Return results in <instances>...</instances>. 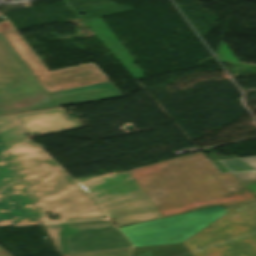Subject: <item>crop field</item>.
<instances>
[{"mask_svg": "<svg viewBox=\"0 0 256 256\" xmlns=\"http://www.w3.org/2000/svg\"><path fill=\"white\" fill-rule=\"evenodd\" d=\"M0 33L47 92L107 81L94 64L48 72L9 20L0 22Z\"/></svg>", "mask_w": 256, "mask_h": 256, "instance_id": "crop-field-7", "label": "crop field"}, {"mask_svg": "<svg viewBox=\"0 0 256 256\" xmlns=\"http://www.w3.org/2000/svg\"><path fill=\"white\" fill-rule=\"evenodd\" d=\"M127 173L162 217L256 199L231 172L220 174L201 152Z\"/></svg>", "mask_w": 256, "mask_h": 256, "instance_id": "crop-field-1", "label": "crop field"}, {"mask_svg": "<svg viewBox=\"0 0 256 256\" xmlns=\"http://www.w3.org/2000/svg\"><path fill=\"white\" fill-rule=\"evenodd\" d=\"M132 249L113 250L104 252H94L85 254H75L71 256H131Z\"/></svg>", "mask_w": 256, "mask_h": 256, "instance_id": "crop-field-15", "label": "crop field"}, {"mask_svg": "<svg viewBox=\"0 0 256 256\" xmlns=\"http://www.w3.org/2000/svg\"><path fill=\"white\" fill-rule=\"evenodd\" d=\"M42 223L106 217L94 197L84 192L36 144H5ZM46 214L59 220L51 221Z\"/></svg>", "mask_w": 256, "mask_h": 256, "instance_id": "crop-field-2", "label": "crop field"}, {"mask_svg": "<svg viewBox=\"0 0 256 256\" xmlns=\"http://www.w3.org/2000/svg\"><path fill=\"white\" fill-rule=\"evenodd\" d=\"M252 170L232 172L256 197V157L240 159Z\"/></svg>", "mask_w": 256, "mask_h": 256, "instance_id": "crop-field-14", "label": "crop field"}, {"mask_svg": "<svg viewBox=\"0 0 256 256\" xmlns=\"http://www.w3.org/2000/svg\"><path fill=\"white\" fill-rule=\"evenodd\" d=\"M44 227L61 255L131 248L110 221L92 220Z\"/></svg>", "mask_w": 256, "mask_h": 256, "instance_id": "crop-field-5", "label": "crop field"}, {"mask_svg": "<svg viewBox=\"0 0 256 256\" xmlns=\"http://www.w3.org/2000/svg\"><path fill=\"white\" fill-rule=\"evenodd\" d=\"M227 214L183 242L192 256H256V202L226 208Z\"/></svg>", "mask_w": 256, "mask_h": 256, "instance_id": "crop-field-4", "label": "crop field"}, {"mask_svg": "<svg viewBox=\"0 0 256 256\" xmlns=\"http://www.w3.org/2000/svg\"><path fill=\"white\" fill-rule=\"evenodd\" d=\"M26 134L39 136L82 127L78 118L70 119L60 108L17 115Z\"/></svg>", "mask_w": 256, "mask_h": 256, "instance_id": "crop-field-10", "label": "crop field"}, {"mask_svg": "<svg viewBox=\"0 0 256 256\" xmlns=\"http://www.w3.org/2000/svg\"><path fill=\"white\" fill-rule=\"evenodd\" d=\"M225 213L219 206L118 229L134 247L183 242Z\"/></svg>", "mask_w": 256, "mask_h": 256, "instance_id": "crop-field-6", "label": "crop field"}, {"mask_svg": "<svg viewBox=\"0 0 256 256\" xmlns=\"http://www.w3.org/2000/svg\"><path fill=\"white\" fill-rule=\"evenodd\" d=\"M76 181L93 195L138 189L126 172L82 178Z\"/></svg>", "mask_w": 256, "mask_h": 256, "instance_id": "crop-field-11", "label": "crop field"}, {"mask_svg": "<svg viewBox=\"0 0 256 256\" xmlns=\"http://www.w3.org/2000/svg\"><path fill=\"white\" fill-rule=\"evenodd\" d=\"M0 256H11L8 252L0 248Z\"/></svg>", "mask_w": 256, "mask_h": 256, "instance_id": "crop-field-16", "label": "crop field"}, {"mask_svg": "<svg viewBox=\"0 0 256 256\" xmlns=\"http://www.w3.org/2000/svg\"><path fill=\"white\" fill-rule=\"evenodd\" d=\"M41 223L0 139V224Z\"/></svg>", "mask_w": 256, "mask_h": 256, "instance_id": "crop-field-8", "label": "crop field"}, {"mask_svg": "<svg viewBox=\"0 0 256 256\" xmlns=\"http://www.w3.org/2000/svg\"><path fill=\"white\" fill-rule=\"evenodd\" d=\"M0 137L3 143L26 139L14 114L0 116Z\"/></svg>", "mask_w": 256, "mask_h": 256, "instance_id": "crop-field-12", "label": "crop field"}, {"mask_svg": "<svg viewBox=\"0 0 256 256\" xmlns=\"http://www.w3.org/2000/svg\"><path fill=\"white\" fill-rule=\"evenodd\" d=\"M245 242H247V243H249V244H251V245H254L252 242H250L249 240H246ZM254 246H256V245H254Z\"/></svg>", "mask_w": 256, "mask_h": 256, "instance_id": "crop-field-17", "label": "crop field"}, {"mask_svg": "<svg viewBox=\"0 0 256 256\" xmlns=\"http://www.w3.org/2000/svg\"><path fill=\"white\" fill-rule=\"evenodd\" d=\"M120 97L110 81L47 93L0 35V115Z\"/></svg>", "mask_w": 256, "mask_h": 256, "instance_id": "crop-field-3", "label": "crop field"}, {"mask_svg": "<svg viewBox=\"0 0 256 256\" xmlns=\"http://www.w3.org/2000/svg\"><path fill=\"white\" fill-rule=\"evenodd\" d=\"M134 256H191L183 244L155 246L134 250Z\"/></svg>", "mask_w": 256, "mask_h": 256, "instance_id": "crop-field-13", "label": "crop field"}, {"mask_svg": "<svg viewBox=\"0 0 256 256\" xmlns=\"http://www.w3.org/2000/svg\"><path fill=\"white\" fill-rule=\"evenodd\" d=\"M96 197L117 226L161 217L141 190Z\"/></svg>", "mask_w": 256, "mask_h": 256, "instance_id": "crop-field-9", "label": "crop field"}]
</instances>
